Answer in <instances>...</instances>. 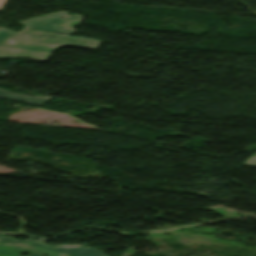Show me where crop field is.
<instances>
[{
    "instance_id": "obj_1",
    "label": "crop field",
    "mask_w": 256,
    "mask_h": 256,
    "mask_svg": "<svg viewBox=\"0 0 256 256\" xmlns=\"http://www.w3.org/2000/svg\"><path fill=\"white\" fill-rule=\"evenodd\" d=\"M24 35H27V37H24ZM16 36L21 39L19 40ZM23 38H27V40H23ZM38 38H41V40H38ZM100 42L88 38L24 29L19 32H12L0 45V58L46 60L58 47L75 46L97 50Z\"/></svg>"
},
{
    "instance_id": "obj_2",
    "label": "crop field",
    "mask_w": 256,
    "mask_h": 256,
    "mask_svg": "<svg viewBox=\"0 0 256 256\" xmlns=\"http://www.w3.org/2000/svg\"><path fill=\"white\" fill-rule=\"evenodd\" d=\"M20 253H29L30 256H105L96 249H87L76 247L65 250L62 248L48 249L41 247L40 243L32 242L24 244L0 237V256H19Z\"/></svg>"
},
{
    "instance_id": "obj_3",
    "label": "crop field",
    "mask_w": 256,
    "mask_h": 256,
    "mask_svg": "<svg viewBox=\"0 0 256 256\" xmlns=\"http://www.w3.org/2000/svg\"><path fill=\"white\" fill-rule=\"evenodd\" d=\"M60 17H64V19H60ZM80 21L81 16H68L67 12L61 11L21 22L28 29L69 34L76 31V29H71L72 25Z\"/></svg>"
},
{
    "instance_id": "obj_4",
    "label": "crop field",
    "mask_w": 256,
    "mask_h": 256,
    "mask_svg": "<svg viewBox=\"0 0 256 256\" xmlns=\"http://www.w3.org/2000/svg\"><path fill=\"white\" fill-rule=\"evenodd\" d=\"M0 97L5 99H14L17 101L27 102L29 104H36V105H43L45 101L51 98V97H44V96H37V97L24 96V95H19V94L11 93L8 91H4L1 89H0Z\"/></svg>"
},
{
    "instance_id": "obj_5",
    "label": "crop field",
    "mask_w": 256,
    "mask_h": 256,
    "mask_svg": "<svg viewBox=\"0 0 256 256\" xmlns=\"http://www.w3.org/2000/svg\"><path fill=\"white\" fill-rule=\"evenodd\" d=\"M11 30L0 28V44L6 39V37L11 33Z\"/></svg>"
},
{
    "instance_id": "obj_6",
    "label": "crop field",
    "mask_w": 256,
    "mask_h": 256,
    "mask_svg": "<svg viewBox=\"0 0 256 256\" xmlns=\"http://www.w3.org/2000/svg\"><path fill=\"white\" fill-rule=\"evenodd\" d=\"M243 164L256 165V153L248 157Z\"/></svg>"
},
{
    "instance_id": "obj_7",
    "label": "crop field",
    "mask_w": 256,
    "mask_h": 256,
    "mask_svg": "<svg viewBox=\"0 0 256 256\" xmlns=\"http://www.w3.org/2000/svg\"><path fill=\"white\" fill-rule=\"evenodd\" d=\"M7 0H0V11Z\"/></svg>"
},
{
    "instance_id": "obj_8",
    "label": "crop field",
    "mask_w": 256,
    "mask_h": 256,
    "mask_svg": "<svg viewBox=\"0 0 256 256\" xmlns=\"http://www.w3.org/2000/svg\"><path fill=\"white\" fill-rule=\"evenodd\" d=\"M42 246H45V245L42 244ZM45 247H46V246H45ZM62 248L69 249V248H72V247H62Z\"/></svg>"
}]
</instances>
